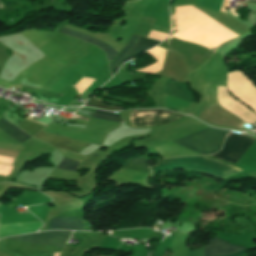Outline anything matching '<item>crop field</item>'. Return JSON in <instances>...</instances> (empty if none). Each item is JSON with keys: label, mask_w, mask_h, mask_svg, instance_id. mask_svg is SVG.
<instances>
[{"label": "crop field", "mask_w": 256, "mask_h": 256, "mask_svg": "<svg viewBox=\"0 0 256 256\" xmlns=\"http://www.w3.org/2000/svg\"><path fill=\"white\" fill-rule=\"evenodd\" d=\"M228 131L207 128L172 142L198 152L202 155L213 154L220 150Z\"/></svg>", "instance_id": "crop-field-2"}, {"label": "crop field", "mask_w": 256, "mask_h": 256, "mask_svg": "<svg viewBox=\"0 0 256 256\" xmlns=\"http://www.w3.org/2000/svg\"><path fill=\"white\" fill-rule=\"evenodd\" d=\"M92 117L120 122V115L117 113H107L96 110Z\"/></svg>", "instance_id": "crop-field-15"}, {"label": "crop field", "mask_w": 256, "mask_h": 256, "mask_svg": "<svg viewBox=\"0 0 256 256\" xmlns=\"http://www.w3.org/2000/svg\"><path fill=\"white\" fill-rule=\"evenodd\" d=\"M72 232L65 231H55V232H45L37 233L19 237H13L11 239L22 241L26 243L33 244H48L58 247H63Z\"/></svg>", "instance_id": "crop-field-6"}, {"label": "crop field", "mask_w": 256, "mask_h": 256, "mask_svg": "<svg viewBox=\"0 0 256 256\" xmlns=\"http://www.w3.org/2000/svg\"><path fill=\"white\" fill-rule=\"evenodd\" d=\"M167 36H168V34H164V33H160V32H156V31L151 30L148 37L156 39V40L163 41Z\"/></svg>", "instance_id": "crop-field-18"}, {"label": "crop field", "mask_w": 256, "mask_h": 256, "mask_svg": "<svg viewBox=\"0 0 256 256\" xmlns=\"http://www.w3.org/2000/svg\"><path fill=\"white\" fill-rule=\"evenodd\" d=\"M79 162L71 161L66 158L62 160V162L58 165L57 169L64 170V171H75L78 167Z\"/></svg>", "instance_id": "crop-field-16"}, {"label": "crop field", "mask_w": 256, "mask_h": 256, "mask_svg": "<svg viewBox=\"0 0 256 256\" xmlns=\"http://www.w3.org/2000/svg\"><path fill=\"white\" fill-rule=\"evenodd\" d=\"M61 33L73 36L75 38L83 39V40H85L87 42H91V43L99 46L102 50H104L107 53L108 61H110L117 54V52L115 50H113L111 47H109L108 45H106V44H104V43H102V42H100L98 40H95L93 38L84 36L82 34L70 31V30L65 29V28L62 29Z\"/></svg>", "instance_id": "crop-field-10"}, {"label": "crop field", "mask_w": 256, "mask_h": 256, "mask_svg": "<svg viewBox=\"0 0 256 256\" xmlns=\"http://www.w3.org/2000/svg\"><path fill=\"white\" fill-rule=\"evenodd\" d=\"M241 248H243V247L230 245V244H228L224 241L218 240L216 238L210 240L209 244L204 246L205 256H216V255L230 254V253H232L236 250H239ZM246 251H247V249L243 248L237 252H234L230 255H225V256H237Z\"/></svg>", "instance_id": "crop-field-8"}, {"label": "crop field", "mask_w": 256, "mask_h": 256, "mask_svg": "<svg viewBox=\"0 0 256 256\" xmlns=\"http://www.w3.org/2000/svg\"><path fill=\"white\" fill-rule=\"evenodd\" d=\"M166 167H194V168L208 171V172L218 174V175H221L224 177H227L235 172L243 171L239 168L215 161L213 159H210V158H207L204 156L176 157V158L160 159L157 166H152L150 168L152 169V174H154L159 169L166 168ZM194 168H167V169H194ZM167 169H162V170H167ZM197 169H195V170H197ZM162 170H160V171H162ZM158 172H156L152 176L154 177ZM208 172H206V173H208ZM211 173H209V174H211ZM214 174H212V175H214ZM215 176H217V175H215ZM221 176H218V177H221ZM224 177H221V178H224Z\"/></svg>", "instance_id": "crop-field-1"}, {"label": "crop field", "mask_w": 256, "mask_h": 256, "mask_svg": "<svg viewBox=\"0 0 256 256\" xmlns=\"http://www.w3.org/2000/svg\"><path fill=\"white\" fill-rule=\"evenodd\" d=\"M34 137L50 145H53L57 148L76 152V153H79L80 150L90 145L89 143H85L82 141L60 137L54 134H49L44 132H39Z\"/></svg>", "instance_id": "crop-field-7"}, {"label": "crop field", "mask_w": 256, "mask_h": 256, "mask_svg": "<svg viewBox=\"0 0 256 256\" xmlns=\"http://www.w3.org/2000/svg\"><path fill=\"white\" fill-rule=\"evenodd\" d=\"M183 115L165 110L131 111L129 121L133 127L167 125Z\"/></svg>", "instance_id": "crop-field-3"}, {"label": "crop field", "mask_w": 256, "mask_h": 256, "mask_svg": "<svg viewBox=\"0 0 256 256\" xmlns=\"http://www.w3.org/2000/svg\"><path fill=\"white\" fill-rule=\"evenodd\" d=\"M138 38H139L138 36L132 35L131 39L129 40L127 45L123 48V50L120 52V54L110 63V68H112L123 56H125L128 53V51L135 44V42L138 40ZM148 40H149L148 38L140 37V39L136 42V44L133 46V48L130 50V52L111 69V74L113 75L114 72L120 67V65L124 61L139 54V52L142 50V48L145 46V44L148 42ZM158 43H160V42L150 39L149 42L146 44V46L143 48V50L141 52L153 47L154 45H156Z\"/></svg>", "instance_id": "crop-field-5"}, {"label": "crop field", "mask_w": 256, "mask_h": 256, "mask_svg": "<svg viewBox=\"0 0 256 256\" xmlns=\"http://www.w3.org/2000/svg\"><path fill=\"white\" fill-rule=\"evenodd\" d=\"M0 129L5 131L13 139L21 143L31 138L20 129H18L16 126L3 119L0 120Z\"/></svg>", "instance_id": "crop-field-11"}, {"label": "crop field", "mask_w": 256, "mask_h": 256, "mask_svg": "<svg viewBox=\"0 0 256 256\" xmlns=\"http://www.w3.org/2000/svg\"><path fill=\"white\" fill-rule=\"evenodd\" d=\"M147 162L148 160L134 158L129 160L126 166L122 168L150 174V171L146 165Z\"/></svg>", "instance_id": "crop-field-12"}, {"label": "crop field", "mask_w": 256, "mask_h": 256, "mask_svg": "<svg viewBox=\"0 0 256 256\" xmlns=\"http://www.w3.org/2000/svg\"><path fill=\"white\" fill-rule=\"evenodd\" d=\"M28 120V119H27ZM27 120H24L22 123L19 124V128L23 129L25 132H27L28 134L30 135H35L40 129H42L43 125H40V124H37V123H34V122H31V121H27Z\"/></svg>", "instance_id": "crop-field-14"}, {"label": "crop field", "mask_w": 256, "mask_h": 256, "mask_svg": "<svg viewBox=\"0 0 256 256\" xmlns=\"http://www.w3.org/2000/svg\"><path fill=\"white\" fill-rule=\"evenodd\" d=\"M196 1L203 7H207V8L214 9L221 12L223 11L227 3V0H196Z\"/></svg>", "instance_id": "crop-field-13"}, {"label": "crop field", "mask_w": 256, "mask_h": 256, "mask_svg": "<svg viewBox=\"0 0 256 256\" xmlns=\"http://www.w3.org/2000/svg\"><path fill=\"white\" fill-rule=\"evenodd\" d=\"M254 141L255 139L245 135L232 133L226 137L222 150L209 156L235 164Z\"/></svg>", "instance_id": "crop-field-4"}, {"label": "crop field", "mask_w": 256, "mask_h": 256, "mask_svg": "<svg viewBox=\"0 0 256 256\" xmlns=\"http://www.w3.org/2000/svg\"><path fill=\"white\" fill-rule=\"evenodd\" d=\"M80 217H55L49 221L48 230H84L83 222Z\"/></svg>", "instance_id": "crop-field-9"}, {"label": "crop field", "mask_w": 256, "mask_h": 256, "mask_svg": "<svg viewBox=\"0 0 256 256\" xmlns=\"http://www.w3.org/2000/svg\"><path fill=\"white\" fill-rule=\"evenodd\" d=\"M85 106H91V107H96V108H102V109H106V110H112V111H115V110H120L122 108L120 107H116V106H107L97 100H89L87 101L86 105Z\"/></svg>", "instance_id": "crop-field-17"}]
</instances>
